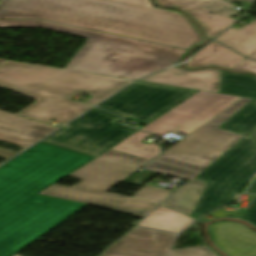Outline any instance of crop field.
Returning <instances> with one entry per match:
<instances>
[{
	"label": "crop field",
	"mask_w": 256,
	"mask_h": 256,
	"mask_svg": "<svg viewBox=\"0 0 256 256\" xmlns=\"http://www.w3.org/2000/svg\"><path fill=\"white\" fill-rule=\"evenodd\" d=\"M93 157L40 142L0 167V256H14L86 204L38 194Z\"/></svg>",
	"instance_id": "8a807250"
},
{
	"label": "crop field",
	"mask_w": 256,
	"mask_h": 256,
	"mask_svg": "<svg viewBox=\"0 0 256 256\" xmlns=\"http://www.w3.org/2000/svg\"><path fill=\"white\" fill-rule=\"evenodd\" d=\"M0 19H42L186 49L204 40L185 16L107 0H3Z\"/></svg>",
	"instance_id": "ac0d7876"
},
{
	"label": "crop field",
	"mask_w": 256,
	"mask_h": 256,
	"mask_svg": "<svg viewBox=\"0 0 256 256\" xmlns=\"http://www.w3.org/2000/svg\"><path fill=\"white\" fill-rule=\"evenodd\" d=\"M130 82L10 60L0 64V87L37 99L18 114L46 123H67L91 108L69 100L79 92L93 96L84 103L94 106Z\"/></svg>",
	"instance_id": "34b2d1b8"
},
{
	"label": "crop field",
	"mask_w": 256,
	"mask_h": 256,
	"mask_svg": "<svg viewBox=\"0 0 256 256\" xmlns=\"http://www.w3.org/2000/svg\"><path fill=\"white\" fill-rule=\"evenodd\" d=\"M25 27H39L87 37V42L66 69L131 80H137L178 62L188 51L42 20H0V28Z\"/></svg>",
	"instance_id": "412701ff"
},
{
	"label": "crop field",
	"mask_w": 256,
	"mask_h": 256,
	"mask_svg": "<svg viewBox=\"0 0 256 256\" xmlns=\"http://www.w3.org/2000/svg\"><path fill=\"white\" fill-rule=\"evenodd\" d=\"M256 173V127L194 179L208 182L193 215L237 199Z\"/></svg>",
	"instance_id": "f4fd0767"
},
{
	"label": "crop field",
	"mask_w": 256,
	"mask_h": 256,
	"mask_svg": "<svg viewBox=\"0 0 256 256\" xmlns=\"http://www.w3.org/2000/svg\"><path fill=\"white\" fill-rule=\"evenodd\" d=\"M251 99L242 98L183 140L166 150L155 161L200 173L243 136L216 128Z\"/></svg>",
	"instance_id": "dd49c442"
},
{
	"label": "crop field",
	"mask_w": 256,
	"mask_h": 256,
	"mask_svg": "<svg viewBox=\"0 0 256 256\" xmlns=\"http://www.w3.org/2000/svg\"><path fill=\"white\" fill-rule=\"evenodd\" d=\"M119 120L102 109L94 108L43 142L96 157L136 131L115 123Z\"/></svg>",
	"instance_id": "e52e79f7"
},
{
	"label": "crop field",
	"mask_w": 256,
	"mask_h": 256,
	"mask_svg": "<svg viewBox=\"0 0 256 256\" xmlns=\"http://www.w3.org/2000/svg\"><path fill=\"white\" fill-rule=\"evenodd\" d=\"M197 92L138 81L99 106L121 117L147 124Z\"/></svg>",
	"instance_id": "d8731c3e"
},
{
	"label": "crop field",
	"mask_w": 256,
	"mask_h": 256,
	"mask_svg": "<svg viewBox=\"0 0 256 256\" xmlns=\"http://www.w3.org/2000/svg\"><path fill=\"white\" fill-rule=\"evenodd\" d=\"M239 99L241 97L200 91L140 130L159 136L168 131L189 134Z\"/></svg>",
	"instance_id": "5a996713"
},
{
	"label": "crop field",
	"mask_w": 256,
	"mask_h": 256,
	"mask_svg": "<svg viewBox=\"0 0 256 256\" xmlns=\"http://www.w3.org/2000/svg\"><path fill=\"white\" fill-rule=\"evenodd\" d=\"M147 162L149 160L109 149L68 177L81 180L73 188L104 193Z\"/></svg>",
	"instance_id": "3316defc"
},
{
	"label": "crop field",
	"mask_w": 256,
	"mask_h": 256,
	"mask_svg": "<svg viewBox=\"0 0 256 256\" xmlns=\"http://www.w3.org/2000/svg\"><path fill=\"white\" fill-rule=\"evenodd\" d=\"M41 194L86 204H93L99 207L127 213L141 218H143L148 212L157 206V204L136 200L121 195L93 193L56 184L47 188L41 192Z\"/></svg>",
	"instance_id": "28ad6ade"
},
{
	"label": "crop field",
	"mask_w": 256,
	"mask_h": 256,
	"mask_svg": "<svg viewBox=\"0 0 256 256\" xmlns=\"http://www.w3.org/2000/svg\"><path fill=\"white\" fill-rule=\"evenodd\" d=\"M160 5L176 6L196 19L206 31L208 37H213L231 26L236 19H230L238 11L232 10L234 5L222 0H156Z\"/></svg>",
	"instance_id": "d1516ede"
},
{
	"label": "crop field",
	"mask_w": 256,
	"mask_h": 256,
	"mask_svg": "<svg viewBox=\"0 0 256 256\" xmlns=\"http://www.w3.org/2000/svg\"><path fill=\"white\" fill-rule=\"evenodd\" d=\"M174 238V234L134 227L103 254L165 256Z\"/></svg>",
	"instance_id": "22f410ed"
},
{
	"label": "crop field",
	"mask_w": 256,
	"mask_h": 256,
	"mask_svg": "<svg viewBox=\"0 0 256 256\" xmlns=\"http://www.w3.org/2000/svg\"><path fill=\"white\" fill-rule=\"evenodd\" d=\"M56 129L0 110V141L14 144L23 149Z\"/></svg>",
	"instance_id": "cbeb9de0"
},
{
	"label": "crop field",
	"mask_w": 256,
	"mask_h": 256,
	"mask_svg": "<svg viewBox=\"0 0 256 256\" xmlns=\"http://www.w3.org/2000/svg\"><path fill=\"white\" fill-rule=\"evenodd\" d=\"M217 246L229 256L256 255V233L235 222H217L209 226Z\"/></svg>",
	"instance_id": "5142ce71"
},
{
	"label": "crop field",
	"mask_w": 256,
	"mask_h": 256,
	"mask_svg": "<svg viewBox=\"0 0 256 256\" xmlns=\"http://www.w3.org/2000/svg\"><path fill=\"white\" fill-rule=\"evenodd\" d=\"M219 77L218 69L187 71L177 66L141 81L218 93Z\"/></svg>",
	"instance_id": "d9b57169"
},
{
	"label": "crop field",
	"mask_w": 256,
	"mask_h": 256,
	"mask_svg": "<svg viewBox=\"0 0 256 256\" xmlns=\"http://www.w3.org/2000/svg\"><path fill=\"white\" fill-rule=\"evenodd\" d=\"M245 58L226 48L225 46L212 42L195 56L192 57L186 68H200L204 66H215L232 70Z\"/></svg>",
	"instance_id": "733c2abd"
},
{
	"label": "crop field",
	"mask_w": 256,
	"mask_h": 256,
	"mask_svg": "<svg viewBox=\"0 0 256 256\" xmlns=\"http://www.w3.org/2000/svg\"><path fill=\"white\" fill-rule=\"evenodd\" d=\"M194 220L195 218L160 206L140 222L139 226L180 233Z\"/></svg>",
	"instance_id": "4a817a6b"
},
{
	"label": "crop field",
	"mask_w": 256,
	"mask_h": 256,
	"mask_svg": "<svg viewBox=\"0 0 256 256\" xmlns=\"http://www.w3.org/2000/svg\"><path fill=\"white\" fill-rule=\"evenodd\" d=\"M217 41L247 56L256 50V19L241 29L230 28Z\"/></svg>",
	"instance_id": "bc2a9ffb"
},
{
	"label": "crop field",
	"mask_w": 256,
	"mask_h": 256,
	"mask_svg": "<svg viewBox=\"0 0 256 256\" xmlns=\"http://www.w3.org/2000/svg\"><path fill=\"white\" fill-rule=\"evenodd\" d=\"M205 185V182L192 180L181 187L162 206L191 215Z\"/></svg>",
	"instance_id": "214f88e0"
},
{
	"label": "crop field",
	"mask_w": 256,
	"mask_h": 256,
	"mask_svg": "<svg viewBox=\"0 0 256 256\" xmlns=\"http://www.w3.org/2000/svg\"><path fill=\"white\" fill-rule=\"evenodd\" d=\"M219 93L256 98V79L245 74L221 72Z\"/></svg>",
	"instance_id": "92a150f3"
},
{
	"label": "crop field",
	"mask_w": 256,
	"mask_h": 256,
	"mask_svg": "<svg viewBox=\"0 0 256 256\" xmlns=\"http://www.w3.org/2000/svg\"><path fill=\"white\" fill-rule=\"evenodd\" d=\"M256 126V99H252L218 128L245 135Z\"/></svg>",
	"instance_id": "dafd665d"
},
{
	"label": "crop field",
	"mask_w": 256,
	"mask_h": 256,
	"mask_svg": "<svg viewBox=\"0 0 256 256\" xmlns=\"http://www.w3.org/2000/svg\"><path fill=\"white\" fill-rule=\"evenodd\" d=\"M149 135L151 134L137 131L111 149L151 160V158L159 154L158 146L154 142L149 145L140 143L141 140Z\"/></svg>",
	"instance_id": "00972430"
},
{
	"label": "crop field",
	"mask_w": 256,
	"mask_h": 256,
	"mask_svg": "<svg viewBox=\"0 0 256 256\" xmlns=\"http://www.w3.org/2000/svg\"><path fill=\"white\" fill-rule=\"evenodd\" d=\"M248 202H249V206L247 209L236 208L235 212H226L220 209L209 215L215 218L227 217V215H231V217L242 218L256 225V196L248 195Z\"/></svg>",
	"instance_id": "a9b5d70f"
},
{
	"label": "crop field",
	"mask_w": 256,
	"mask_h": 256,
	"mask_svg": "<svg viewBox=\"0 0 256 256\" xmlns=\"http://www.w3.org/2000/svg\"><path fill=\"white\" fill-rule=\"evenodd\" d=\"M146 167L147 169L157 170L164 174L174 175V176H178V177L189 179V180L193 179L198 174V173L176 168V167L169 166V165L162 164L155 161H153L151 164H149Z\"/></svg>",
	"instance_id": "4177f3b9"
},
{
	"label": "crop field",
	"mask_w": 256,
	"mask_h": 256,
	"mask_svg": "<svg viewBox=\"0 0 256 256\" xmlns=\"http://www.w3.org/2000/svg\"><path fill=\"white\" fill-rule=\"evenodd\" d=\"M169 256H218L208 247L188 248L171 251Z\"/></svg>",
	"instance_id": "730fd06b"
},
{
	"label": "crop field",
	"mask_w": 256,
	"mask_h": 256,
	"mask_svg": "<svg viewBox=\"0 0 256 256\" xmlns=\"http://www.w3.org/2000/svg\"><path fill=\"white\" fill-rule=\"evenodd\" d=\"M112 1L131 4V5L145 7V8H150V9H155V10H160V9L153 7L149 0H112ZM161 11H166V12L177 13V14L183 15V13L179 12V11H171V10H161Z\"/></svg>",
	"instance_id": "eef30255"
},
{
	"label": "crop field",
	"mask_w": 256,
	"mask_h": 256,
	"mask_svg": "<svg viewBox=\"0 0 256 256\" xmlns=\"http://www.w3.org/2000/svg\"><path fill=\"white\" fill-rule=\"evenodd\" d=\"M233 70L237 71H250L256 74V62L245 59Z\"/></svg>",
	"instance_id": "ae1a2a85"
},
{
	"label": "crop field",
	"mask_w": 256,
	"mask_h": 256,
	"mask_svg": "<svg viewBox=\"0 0 256 256\" xmlns=\"http://www.w3.org/2000/svg\"><path fill=\"white\" fill-rule=\"evenodd\" d=\"M17 154V152H13V151H9V150H4V149H0V157H3V158H10L12 157L13 155ZM9 160V159H8Z\"/></svg>",
	"instance_id": "d3111659"
},
{
	"label": "crop field",
	"mask_w": 256,
	"mask_h": 256,
	"mask_svg": "<svg viewBox=\"0 0 256 256\" xmlns=\"http://www.w3.org/2000/svg\"><path fill=\"white\" fill-rule=\"evenodd\" d=\"M246 193L256 194V179L252 183L251 187Z\"/></svg>",
	"instance_id": "750c4746"
},
{
	"label": "crop field",
	"mask_w": 256,
	"mask_h": 256,
	"mask_svg": "<svg viewBox=\"0 0 256 256\" xmlns=\"http://www.w3.org/2000/svg\"><path fill=\"white\" fill-rule=\"evenodd\" d=\"M247 57L256 60V51L254 53H252L251 55L247 56Z\"/></svg>",
	"instance_id": "bd1437ed"
},
{
	"label": "crop field",
	"mask_w": 256,
	"mask_h": 256,
	"mask_svg": "<svg viewBox=\"0 0 256 256\" xmlns=\"http://www.w3.org/2000/svg\"><path fill=\"white\" fill-rule=\"evenodd\" d=\"M101 256H109V255H101Z\"/></svg>",
	"instance_id": "1d83c4d3"
},
{
	"label": "crop field",
	"mask_w": 256,
	"mask_h": 256,
	"mask_svg": "<svg viewBox=\"0 0 256 256\" xmlns=\"http://www.w3.org/2000/svg\"><path fill=\"white\" fill-rule=\"evenodd\" d=\"M16 256H18V255H16Z\"/></svg>",
	"instance_id": "120bbe31"
}]
</instances>
